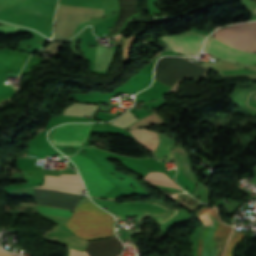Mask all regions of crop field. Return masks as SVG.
I'll use <instances>...</instances> for the list:
<instances>
[{
	"mask_svg": "<svg viewBox=\"0 0 256 256\" xmlns=\"http://www.w3.org/2000/svg\"><path fill=\"white\" fill-rule=\"evenodd\" d=\"M108 214L92 202L84 203L77 205L74 214L65 224L75 235L84 239L115 236L114 219Z\"/></svg>",
	"mask_w": 256,
	"mask_h": 256,
	"instance_id": "crop-field-1",
	"label": "crop field"
},
{
	"mask_svg": "<svg viewBox=\"0 0 256 256\" xmlns=\"http://www.w3.org/2000/svg\"><path fill=\"white\" fill-rule=\"evenodd\" d=\"M196 217L209 226L201 237L198 256H222L233 227L224 225L213 208H203Z\"/></svg>",
	"mask_w": 256,
	"mask_h": 256,
	"instance_id": "crop-field-2",
	"label": "crop field"
},
{
	"mask_svg": "<svg viewBox=\"0 0 256 256\" xmlns=\"http://www.w3.org/2000/svg\"><path fill=\"white\" fill-rule=\"evenodd\" d=\"M213 35L241 50L256 51V22L223 28L215 31Z\"/></svg>",
	"mask_w": 256,
	"mask_h": 256,
	"instance_id": "crop-field-3",
	"label": "crop field"
},
{
	"mask_svg": "<svg viewBox=\"0 0 256 256\" xmlns=\"http://www.w3.org/2000/svg\"><path fill=\"white\" fill-rule=\"evenodd\" d=\"M70 159L76 164L89 194L101 197L106 191L113 187V185L104 179L96 165L89 158L77 155Z\"/></svg>",
	"mask_w": 256,
	"mask_h": 256,
	"instance_id": "crop-field-4",
	"label": "crop field"
},
{
	"mask_svg": "<svg viewBox=\"0 0 256 256\" xmlns=\"http://www.w3.org/2000/svg\"><path fill=\"white\" fill-rule=\"evenodd\" d=\"M204 51L224 60L243 64L256 63V53H248L230 47L210 35L204 43Z\"/></svg>",
	"mask_w": 256,
	"mask_h": 256,
	"instance_id": "crop-field-5",
	"label": "crop field"
},
{
	"mask_svg": "<svg viewBox=\"0 0 256 256\" xmlns=\"http://www.w3.org/2000/svg\"><path fill=\"white\" fill-rule=\"evenodd\" d=\"M92 124H67L57 127L52 134L54 145L81 146Z\"/></svg>",
	"mask_w": 256,
	"mask_h": 256,
	"instance_id": "crop-field-6",
	"label": "crop field"
},
{
	"mask_svg": "<svg viewBox=\"0 0 256 256\" xmlns=\"http://www.w3.org/2000/svg\"><path fill=\"white\" fill-rule=\"evenodd\" d=\"M205 38L206 36L190 30L180 35L163 36L162 40L174 51L196 55L200 52L202 41Z\"/></svg>",
	"mask_w": 256,
	"mask_h": 256,
	"instance_id": "crop-field-7",
	"label": "crop field"
},
{
	"mask_svg": "<svg viewBox=\"0 0 256 256\" xmlns=\"http://www.w3.org/2000/svg\"><path fill=\"white\" fill-rule=\"evenodd\" d=\"M34 188L55 190L64 193L80 195V192L84 186L78 174H61V177L45 176V185Z\"/></svg>",
	"mask_w": 256,
	"mask_h": 256,
	"instance_id": "crop-field-8",
	"label": "crop field"
},
{
	"mask_svg": "<svg viewBox=\"0 0 256 256\" xmlns=\"http://www.w3.org/2000/svg\"><path fill=\"white\" fill-rule=\"evenodd\" d=\"M130 132L140 144L154 152L158 145V133L146 129H135L130 130Z\"/></svg>",
	"mask_w": 256,
	"mask_h": 256,
	"instance_id": "crop-field-9",
	"label": "crop field"
},
{
	"mask_svg": "<svg viewBox=\"0 0 256 256\" xmlns=\"http://www.w3.org/2000/svg\"><path fill=\"white\" fill-rule=\"evenodd\" d=\"M149 184L161 185V186H170L177 189H180L168 176L164 173L151 172L143 178ZM181 190V189H180Z\"/></svg>",
	"mask_w": 256,
	"mask_h": 256,
	"instance_id": "crop-field-10",
	"label": "crop field"
},
{
	"mask_svg": "<svg viewBox=\"0 0 256 256\" xmlns=\"http://www.w3.org/2000/svg\"><path fill=\"white\" fill-rule=\"evenodd\" d=\"M102 1V0H99ZM92 0H59L58 4L103 9L102 2Z\"/></svg>",
	"mask_w": 256,
	"mask_h": 256,
	"instance_id": "crop-field-11",
	"label": "crop field"
},
{
	"mask_svg": "<svg viewBox=\"0 0 256 256\" xmlns=\"http://www.w3.org/2000/svg\"><path fill=\"white\" fill-rule=\"evenodd\" d=\"M244 236H245V234L234 231L233 235L231 237L230 244H229L224 256H232V253H233L236 243L243 240Z\"/></svg>",
	"mask_w": 256,
	"mask_h": 256,
	"instance_id": "crop-field-12",
	"label": "crop field"
},
{
	"mask_svg": "<svg viewBox=\"0 0 256 256\" xmlns=\"http://www.w3.org/2000/svg\"><path fill=\"white\" fill-rule=\"evenodd\" d=\"M38 208L48 214L61 215L66 217H69L72 213L71 211H67V210L52 209V208H45V207H38Z\"/></svg>",
	"mask_w": 256,
	"mask_h": 256,
	"instance_id": "crop-field-13",
	"label": "crop field"
},
{
	"mask_svg": "<svg viewBox=\"0 0 256 256\" xmlns=\"http://www.w3.org/2000/svg\"><path fill=\"white\" fill-rule=\"evenodd\" d=\"M18 27H13L10 25H0V34L13 35L16 34Z\"/></svg>",
	"mask_w": 256,
	"mask_h": 256,
	"instance_id": "crop-field-14",
	"label": "crop field"
},
{
	"mask_svg": "<svg viewBox=\"0 0 256 256\" xmlns=\"http://www.w3.org/2000/svg\"><path fill=\"white\" fill-rule=\"evenodd\" d=\"M0 256H11V255H9L8 253L2 251L1 248H0Z\"/></svg>",
	"mask_w": 256,
	"mask_h": 256,
	"instance_id": "crop-field-15",
	"label": "crop field"
},
{
	"mask_svg": "<svg viewBox=\"0 0 256 256\" xmlns=\"http://www.w3.org/2000/svg\"><path fill=\"white\" fill-rule=\"evenodd\" d=\"M255 1V3H256V0H254Z\"/></svg>",
	"mask_w": 256,
	"mask_h": 256,
	"instance_id": "crop-field-16",
	"label": "crop field"
}]
</instances>
